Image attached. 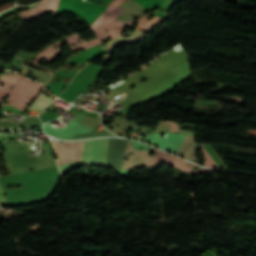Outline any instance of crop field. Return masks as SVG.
<instances>
[{
    "label": "crop field",
    "mask_w": 256,
    "mask_h": 256,
    "mask_svg": "<svg viewBox=\"0 0 256 256\" xmlns=\"http://www.w3.org/2000/svg\"><path fill=\"white\" fill-rule=\"evenodd\" d=\"M108 140L109 139H97V140H88L85 141L84 150L82 142H64L63 144L60 142H53L54 150L58 159V164H64L71 161H78L81 163L82 158V150H83V158L82 163L91 164V165H105L107 148H108ZM127 144L126 153L132 152L134 156H130L128 162L124 159L123 169H130L132 167L138 166H149V167H157L159 161L167 163L171 166H174L184 172L187 173H198V172H208L212 170H205L203 168L193 171L194 164H191L189 167L185 166L189 162L179 159L177 157L171 156L154 148L153 151L156 152V157L159 161L152 159L153 157H149V151H135L132 149L133 146Z\"/></svg>",
    "instance_id": "crop-field-1"
},
{
    "label": "crop field",
    "mask_w": 256,
    "mask_h": 256,
    "mask_svg": "<svg viewBox=\"0 0 256 256\" xmlns=\"http://www.w3.org/2000/svg\"><path fill=\"white\" fill-rule=\"evenodd\" d=\"M61 174L57 167L13 176H2L0 182L9 206L46 200L55 190ZM14 189L9 190L8 186ZM15 185L21 188L15 189Z\"/></svg>",
    "instance_id": "crop-field-2"
},
{
    "label": "crop field",
    "mask_w": 256,
    "mask_h": 256,
    "mask_svg": "<svg viewBox=\"0 0 256 256\" xmlns=\"http://www.w3.org/2000/svg\"><path fill=\"white\" fill-rule=\"evenodd\" d=\"M161 21H163L161 18L157 17L154 18L152 20H150L149 22L146 20V16H143L142 18H140L138 20V29H144L142 32L143 34L148 33L153 27H155L158 23H160ZM142 32H140L139 30H136L132 33L133 36L129 37V38H125L123 39V37L131 35L130 33H125L121 36H119L117 39L110 41L107 43L106 47H101L104 50H106L107 52L111 53L114 51V49L121 45V44H134L135 42H137L138 40H140L141 38H143V34ZM100 47L96 46V47H92L89 48L85 51H83L84 53L82 54L81 52L78 53L79 56H72L71 59L72 61H67L71 64H75L76 62H87L89 60H92L94 58H97L99 56L108 54L106 51H104L103 49H101Z\"/></svg>",
    "instance_id": "crop-field-3"
},
{
    "label": "crop field",
    "mask_w": 256,
    "mask_h": 256,
    "mask_svg": "<svg viewBox=\"0 0 256 256\" xmlns=\"http://www.w3.org/2000/svg\"><path fill=\"white\" fill-rule=\"evenodd\" d=\"M201 145L197 146L195 144V137L186 135L177 154L183 157L193 159L197 161L195 157L196 151L200 148ZM202 150L204 151V158L206 159L205 166L211 168H219L212 157L208 154V152L201 146Z\"/></svg>",
    "instance_id": "crop-field-4"
},
{
    "label": "crop field",
    "mask_w": 256,
    "mask_h": 256,
    "mask_svg": "<svg viewBox=\"0 0 256 256\" xmlns=\"http://www.w3.org/2000/svg\"><path fill=\"white\" fill-rule=\"evenodd\" d=\"M59 0H43L33 10L21 12L20 15L27 22L44 14L55 13Z\"/></svg>",
    "instance_id": "crop-field-5"
},
{
    "label": "crop field",
    "mask_w": 256,
    "mask_h": 256,
    "mask_svg": "<svg viewBox=\"0 0 256 256\" xmlns=\"http://www.w3.org/2000/svg\"><path fill=\"white\" fill-rule=\"evenodd\" d=\"M46 90L47 89L44 88V90L39 94V96L32 103V105L29 109L38 110V111H40L41 109L44 110L53 101L50 96L48 98H46L47 94H45V95L42 94Z\"/></svg>",
    "instance_id": "crop-field-6"
},
{
    "label": "crop field",
    "mask_w": 256,
    "mask_h": 256,
    "mask_svg": "<svg viewBox=\"0 0 256 256\" xmlns=\"http://www.w3.org/2000/svg\"><path fill=\"white\" fill-rule=\"evenodd\" d=\"M46 87H48L56 96L61 93L63 88H65L61 82L55 83L53 86L48 84Z\"/></svg>",
    "instance_id": "crop-field-7"
},
{
    "label": "crop field",
    "mask_w": 256,
    "mask_h": 256,
    "mask_svg": "<svg viewBox=\"0 0 256 256\" xmlns=\"http://www.w3.org/2000/svg\"><path fill=\"white\" fill-rule=\"evenodd\" d=\"M10 90H11L10 86H7V85L1 86V83H0V101L1 102H3V100L5 99L7 94L10 92Z\"/></svg>",
    "instance_id": "crop-field-8"
},
{
    "label": "crop field",
    "mask_w": 256,
    "mask_h": 256,
    "mask_svg": "<svg viewBox=\"0 0 256 256\" xmlns=\"http://www.w3.org/2000/svg\"><path fill=\"white\" fill-rule=\"evenodd\" d=\"M18 8H21V7L16 6V7L12 8V9H10V10L4 12V13H1V14H0V20H1L2 18H4V17L10 15V14L17 13V12H15L14 10H16V9H18Z\"/></svg>",
    "instance_id": "crop-field-9"
},
{
    "label": "crop field",
    "mask_w": 256,
    "mask_h": 256,
    "mask_svg": "<svg viewBox=\"0 0 256 256\" xmlns=\"http://www.w3.org/2000/svg\"><path fill=\"white\" fill-rule=\"evenodd\" d=\"M60 49H58L55 53H53L48 59H46L44 62L50 63L53 61L57 56H59L61 53L59 52Z\"/></svg>",
    "instance_id": "crop-field-10"
},
{
    "label": "crop field",
    "mask_w": 256,
    "mask_h": 256,
    "mask_svg": "<svg viewBox=\"0 0 256 256\" xmlns=\"http://www.w3.org/2000/svg\"><path fill=\"white\" fill-rule=\"evenodd\" d=\"M3 196H4V193H3V190L0 186V205L8 206L7 202H6V199Z\"/></svg>",
    "instance_id": "crop-field-11"
},
{
    "label": "crop field",
    "mask_w": 256,
    "mask_h": 256,
    "mask_svg": "<svg viewBox=\"0 0 256 256\" xmlns=\"http://www.w3.org/2000/svg\"><path fill=\"white\" fill-rule=\"evenodd\" d=\"M20 128H0V132H19Z\"/></svg>",
    "instance_id": "crop-field-12"
},
{
    "label": "crop field",
    "mask_w": 256,
    "mask_h": 256,
    "mask_svg": "<svg viewBox=\"0 0 256 256\" xmlns=\"http://www.w3.org/2000/svg\"><path fill=\"white\" fill-rule=\"evenodd\" d=\"M163 123H167V124H169V125H172L171 131H169V132H177L178 129L180 128V127H177V124H176V123H173V122L167 121V122H163ZM169 129H170V128H169Z\"/></svg>",
    "instance_id": "crop-field-13"
},
{
    "label": "crop field",
    "mask_w": 256,
    "mask_h": 256,
    "mask_svg": "<svg viewBox=\"0 0 256 256\" xmlns=\"http://www.w3.org/2000/svg\"><path fill=\"white\" fill-rule=\"evenodd\" d=\"M13 6H15L14 3H8V4L1 5V6H0V13H1L2 11H4V10L8 9V8L13 7Z\"/></svg>",
    "instance_id": "crop-field-14"
},
{
    "label": "crop field",
    "mask_w": 256,
    "mask_h": 256,
    "mask_svg": "<svg viewBox=\"0 0 256 256\" xmlns=\"http://www.w3.org/2000/svg\"><path fill=\"white\" fill-rule=\"evenodd\" d=\"M76 73H77V70H74V69H72L70 74L57 71V74H61V75L69 76V77H71L72 75L75 76Z\"/></svg>",
    "instance_id": "crop-field-15"
}]
</instances>
